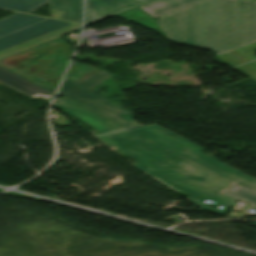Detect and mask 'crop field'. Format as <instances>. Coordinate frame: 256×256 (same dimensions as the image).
<instances>
[{
    "mask_svg": "<svg viewBox=\"0 0 256 256\" xmlns=\"http://www.w3.org/2000/svg\"><path fill=\"white\" fill-rule=\"evenodd\" d=\"M117 16L128 19V20L138 23L140 25L146 26V27L158 32L166 39H168L165 36V34L163 33V31L160 29V27L157 25L156 20L152 19L148 15H146L139 7L132 11H129V12L117 15Z\"/></svg>",
    "mask_w": 256,
    "mask_h": 256,
    "instance_id": "16",
    "label": "crop field"
},
{
    "mask_svg": "<svg viewBox=\"0 0 256 256\" xmlns=\"http://www.w3.org/2000/svg\"><path fill=\"white\" fill-rule=\"evenodd\" d=\"M225 194L233 196L239 200L251 203L250 206L256 208V192L238 184Z\"/></svg>",
    "mask_w": 256,
    "mask_h": 256,
    "instance_id": "18",
    "label": "crop field"
},
{
    "mask_svg": "<svg viewBox=\"0 0 256 256\" xmlns=\"http://www.w3.org/2000/svg\"><path fill=\"white\" fill-rule=\"evenodd\" d=\"M153 0H87L86 25L130 10Z\"/></svg>",
    "mask_w": 256,
    "mask_h": 256,
    "instance_id": "8",
    "label": "crop field"
},
{
    "mask_svg": "<svg viewBox=\"0 0 256 256\" xmlns=\"http://www.w3.org/2000/svg\"><path fill=\"white\" fill-rule=\"evenodd\" d=\"M182 156H185L237 183L256 191V179L202 152L204 148L158 126L147 125L130 129Z\"/></svg>",
    "mask_w": 256,
    "mask_h": 256,
    "instance_id": "5",
    "label": "crop field"
},
{
    "mask_svg": "<svg viewBox=\"0 0 256 256\" xmlns=\"http://www.w3.org/2000/svg\"><path fill=\"white\" fill-rule=\"evenodd\" d=\"M51 17L60 19L53 11L50 10Z\"/></svg>",
    "mask_w": 256,
    "mask_h": 256,
    "instance_id": "21",
    "label": "crop field"
},
{
    "mask_svg": "<svg viewBox=\"0 0 256 256\" xmlns=\"http://www.w3.org/2000/svg\"><path fill=\"white\" fill-rule=\"evenodd\" d=\"M255 54H256V44L251 43L249 45L233 50L217 58L222 60L228 66L232 67V66H235V64L237 63L241 64V63L256 59Z\"/></svg>",
    "mask_w": 256,
    "mask_h": 256,
    "instance_id": "15",
    "label": "crop field"
},
{
    "mask_svg": "<svg viewBox=\"0 0 256 256\" xmlns=\"http://www.w3.org/2000/svg\"><path fill=\"white\" fill-rule=\"evenodd\" d=\"M104 146L117 147L126 155L138 160L134 165L173 192L182 191L199 208L226 214L235 198L223 194L237 183L182 157L130 130L103 134L94 137ZM202 200L214 201L224 206L212 209L201 203Z\"/></svg>",
    "mask_w": 256,
    "mask_h": 256,
    "instance_id": "1",
    "label": "crop field"
},
{
    "mask_svg": "<svg viewBox=\"0 0 256 256\" xmlns=\"http://www.w3.org/2000/svg\"><path fill=\"white\" fill-rule=\"evenodd\" d=\"M47 19L20 13L12 14L0 20V37Z\"/></svg>",
    "mask_w": 256,
    "mask_h": 256,
    "instance_id": "12",
    "label": "crop field"
},
{
    "mask_svg": "<svg viewBox=\"0 0 256 256\" xmlns=\"http://www.w3.org/2000/svg\"><path fill=\"white\" fill-rule=\"evenodd\" d=\"M79 27H80V25L72 24L70 26H67V27H64L62 29L56 30L54 32L43 35V36L38 37L36 39L30 40L28 42H25V43H22L20 45L15 46V47L4 50V51L0 52V60L3 59V58H6L8 56H11L13 54L24 51L26 49H29L31 47H34L36 45L47 42L49 40L55 39V38H57L61 35H65V34L71 32V31H74V30L78 29Z\"/></svg>",
    "mask_w": 256,
    "mask_h": 256,
    "instance_id": "13",
    "label": "crop field"
},
{
    "mask_svg": "<svg viewBox=\"0 0 256 256\" xmlns=\"http://www.w3.org/2000/svg\"><path fill=\"white\" fill-rule=\"evenodd\" d=\"M97 70L99 69L73 62L66 77L77 82Z\"/></svg>",
    "mask_w": 256,
    "mask_h": 256,
    "instance_id": "19",
    "label": "crop field"
},
{
    "mask_svg": "<svg viewBox=\"0 0 256 256\" xmlns=\"http://www.w3.org/2000/svg\"><path fill=\"white\" fill-rule=\"evenodd\" d=\"M72 48L60 37L0 61V65L55 91Z\"/></svg>",
    "mask_w": 256,
    "mask_h": 256,
    "instance_id": "2",
    "label": "crop field"
},
{
    "mask_svg": "<svg viewBox=\"0 0 256 256\" xmlns=\"http://www.w3.org/2000/svg\"><path fill=\"white\" fill-rule=\"evenodd\" d=\"M49 5L61 19L81 23L82 0H49Z\"/></svg>",
    "mask_w": 256,
    "mask_h": 256,
    "instance_id": "11",
    "label": "crop field"
},
{
    "mask_svg": "<svg viewBox=\"0 0 256 256\" xmlns=\"http://www.w3.org/2000/svg\"><path fill=\"white\" fill-rule=\"evenodd\" d=\"M67 114L79 119L83 123L104 133L111 130L124 129V127L62 97L53 103Z\"/></svg>",
    "mask_w": 256,
    "mask_h": 256,
    "instance_id": "7",
    "label": "crop field"
},
{
    "mask_svg": "<svg viewBox=\"0 0 256 256\" xmlns=\"http://www.w3.org/2000/svg\"><path fill=\"white\" fill-rule=\"evenodd\" d=\"M109 77H111V75L99 70L77 83L65 78L59 91V95L64 96L126 128L138 125L133 120V112L89 90Z\"/></svg>",
    "mask_w": 256,
    "mask_h": 256,
    "instance_id": "6",
    "label": "crop field"
},
{
    "mask_svg": "<svg viewBox=\"0 0 256 256\" xmlns=\"http://www.w3.org/2000/svg\"><path fill=\"white\" fill-rule=\"evenodd\" d=\"M253 1H256V0H253Z\"/></svg>",
    "mask_w": 256,
    "mask_h": 256,
    "instance_id": "22",
    "label": "crop field"
},
{
    "mask_svg": "<svg viewBox=\"0 0 256 256\" xmlns=\"http://www.w3.org/2000/svg\"><path fill=\"white\" fill-rule=\"evenodd\" d=\"M198 1L201 0H157L140 8L152 18H156Z\"/></svg>",
    "mask_w": 256,
    "mask_h": 256,
    "instance_id": "14",
    "label": "crop field"
},
{
    "mask_svg": "<svg viewBox=\"0 0 256 256\" xmlns=\"http://www.w3.org/2000/svg\"><path fill=\"white\" fill-rule=\"evenodd\" d=\"M216 0H204L158 17L157 23L170 41L213 51Z\"/></svg>",
    "mask_w": 256,
    "mask_h": 256,
    "instance_id": "3",
    "label": "crop field"
},
{
    "mask_svg": "<svg viewBox=\"0 0 256 256\" xmlns=\"http://www.w3.org/2000/svg\"><path fill=\"white\" fill-rule=\"evenodd\" d=\"M70 24L72 23L49 19L10 35L4 36L0 38V51Z\"/></svg>",
    "mask_w": 256,
    "mask_h": 256,
    "instance_id": "9",
    "label": "crop field"
},
{
    "mask_svg": "<svg viewBox=\"0 0 256 256\" xmlns=\"http://www.w3.org/2000/svg\"><path fill=\"white\" fill-rule=\"evenodd\" d=\"M0 81L34 97L51 99L53 92L0 66Z\"/></svg>",
    "mask_w": 256,
    "mask_h": 256,
    "instance_id": "10",
    "label": "crop field"
},
{
    "mask_svg": "<svg viewBox=\"0 0 256 256\" xmlns=\"http://www.w3.org/2000/svg\"><path fill=\"white\" fill-rule=\"evenodd\" d=\"M256 41V2L217 0L214 51L222 54Z\"/></svg>",
    "mask_w": 256,
    "mask_h": 256,
    "instance_id": "4",
    "label": "crop field"
},
{
    "mask_svg": "<svg viewBox=\"0 0 256 256\" xmlns=\"http://www.w3.org/2000/svg\"><path fill=\"white\" fill-rule=\"evenodd\" d=\"M47 2L48 0H0V8L30 13Z\"/></svg>",
    "mask_w": 256,
    "mask_h": 256,
    "instance_id": "17",
    "label": "crop field"
},
{
    "mask_svg": "<svg viewBox=\"0 0 256 256\" xmlns=\"http://www.w3.org/2000/svg\"><path fill=\"white\" fill-rule=\"evenodd\" d=\"M236 68L256 81V61Z\"/></svg>",
    "mask_w": 256,
    "mask_h": 256,
    "instance_id": "20",
    "label": "crop field"
}]
</instances>
